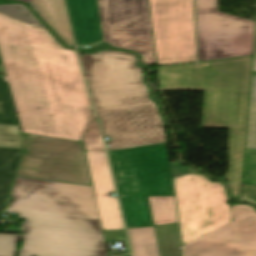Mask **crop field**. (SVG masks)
<instances>
[{"instance_id":"obj_1","label":"crop field","mask_w":256,"mask_h":256,"mask_svg":"<svg viewBox=\"0 0 256 256\" xmlns=\"http://www.w3.org/2000/svg\"><path fill=\"white\" fill-rule=\"evenodd\" d=\"M57 42L24 4L0 5V51L23 132L80 141L92 109L75 50Z\"/></svg>"},{"instance_id":"obj_2","label":"crop field","mask_w":256,"mask_h":256,"mask_svg":"<svg viewBox=\"0 0 256 256\" xmlns=\"http://www.w3.org/2000/svg\"><path fill=\"white\" fill-rule=\"evenodd\" d=\"M5 212L26 218L19 256H108L93 187L17 177Z\"/></svg>"},{"instance_id":"obj_3","label":"crop field","mask_w":256,"mask_h":256,"mask_svg":"<svg viewBox=\"0 0 256 256\" xmlns=\"http://www.w3.org/2000/svg\"><path fill=\"white\" fill-rule=\"evenodd\" d=\"M108 150L167 142L163 121L142 82L134 54L105 50L80 56Z\"/></svg>"},{"instance_id":"obj_4","label":"crop field","mask_w":256,"mask_h":256,"mask_svg":"<svg viewBox=\"0 0 256 256\" xmlns=\"http://www.w3.org/2000/svg\"><path fill=\"white\" fill-rule=\"evenodd\" d=\"M252 56L160 70L163 90H205L202 128H230L226 179L240 198Z\"/></svg>"},{"instance_id":"obj_5","label":"crop field","mask_w":256,"mask_h":256,"mask_svg":"<svg viewBox=\"0 0 256 256\" xmlns=\"http://www.w3.org/2000/svg\"><path fill=\"white\" fill-rule=\"evenodd\" d=\"M78 47L105 41L155 64L148 0H66Z\"/></svg>"},{"instance_id":"obj_6","label":"crop field","mask_w":256,"mask_h":256,"mask_svg":"<svg viewBox=\"0 0 256 256\" xmlns=\"http://www.w3.org/2000/svg\"><path fill=\"white\" fill-rule=\"evenodd\" d=\"M183 244L233 221L221 183L198 173L175 179Z\"/></svg>"},{"instance_id":"obj_7","label":"crop field","mask_w":256,"mask_h":256,"mask_svg":"<svg viewBox=\"0 0 256 256\" xmlns=\"http://www.w3.org/2000/svg\"><path fill=\"white\" fill-rule=\"evenodd\" d=\"M26 148L20 177L90 185L84 144L77 141L23 133Z\"/></svg>"},{"instance_id":"obj_8","label":"crop field","mask_w":256,"mask_h":256,"mask_svg":"<svg viewBox=\"0 0 256 256\" xmlns=\"http://www.w3.org/2000/svg\"><path fill=\"white\" fill-rule=\"evenodd\" d=\"M158 65L197 61L194 0H149Z\"/></svg>"},{"instance_id":"obj_9","label":"crop field","mask_w":256,"mask_h":256,"mask_svg":"<svg viewBox=\"0 0 256 256\" xmlns=\"http://www.w3.org/2000/svg\"><path fill=\"white\" fill-rule=\"evenodd\" d=\"M199 61L252 55L255 22L218 12L217 0H196Z\"/></svg>"},{"instance_id":"obj_10","label":"crop field","mask_w":256,"mask_h":256,"mask_svg":"<svg viewBox=\"0 0 256 256\" xmlns=\"http://www.w3.org/2000/svg\"><path fill=\"white\" fill-rule=\"evenodd\" d=\"M109 153L120 194L175 195L167 144Z\"/></svg>"},{"instance_id":"obj_11","label":"crop field","mask_w":256,"mask_h":256,"mask_svg":"<svg viewBox=\"0 0 256 256\" xmlns=\"http://www.w3.org/2000/svg\"><path fill=\"white\" fill-rule=\"evenodd\" d=\"M234 221L184 246L188 256H256V210L232 205Z\"/></svg>"},{"instance_id":"obj_12","label":"crop field","mask_w":256,"mask_h":256,"mask_svg":"<svg viewBox=\"0 0 256 256\" xmlns=\"http://www.w3.org/2000/svg\"><path fill=\"white\" fill-rule=\"evenodd\" d=\"M103 230L125 229L105 151L87 152Z\"/></svg>"},{"instance_id":"obj_13","label":"crop field","mask_w":256,"mask_h":256,"mask_svg":"<svg viewBox=\"0 0 256 256\" xmlns=\"http://www.w3.org/2000/svg\"><path fill=\"white\" fill-rule=\"evenodd\" d=\"M29 4L68 47H75L64 0H35Z\"/></svg>"},{"instance_id":"obj_14","label":"crop field","mask_w":256,"mask_h":256,"mask_svg":"<svg viewBox=\"0 0 256 256\" xmlns=\"http://www.w3.org/2000/svg\"><path fill=\"white\" fill-rule=\"evenodd\" d=\"M128 228L153 225L145 195H120Z\"/></svg>"},{"instance_id":"obj_15","label":"crop field","mask_w":256,"mask_h":256,"mask_svg":"<svg viewBox=\"0 0 256 256\" xmlns=\"http://www.w3.org/2000/svg\"><path fill=\"white\" fill-rule=\"evenodd\" d=\"M23 150L0 148V213L4 206Z\"/></svg>"},{"instance_id":"obj_16","label":"crop field","mask_w":256,"mask_h":256,"mask_svg":"<svg viewBox=\"0 0 256 256\" xmlns=\"http://www.w3.org/2000/svg\"><path fill=\"white\" fill-rule=\"evenodd\" d=\"M134 256H160L153 226L128 229Z\"/></svg>"},{"instance_id":"obj_17","label":"crop field","mask_w":256,"mask_h":256,"mask_svg":"<svg viewBox=\"0 0 256 256\" xmlns=\"http://www.w3.org/2000/svg\"><path fill=\"white\" fill-rule=\"evenodd\" d=\"M154 227L161 256H182L178 223Z\"/></svg>"},{"instance_id":"obj_18","label":"crop field","mask_w":256,"mask_h":256,"mask_svg":"<svg viewBox=\"0 0 256 256\" xmlns=\"http://www.w3.org/2000/svg\"><path fill=\"white\" fill-rule=\"evenodd\" d=\"M154 225L178 222L175 196H148Z\"/></svg>"},{"instance_id":"obj_19","label":"crop field","mask_w":256,"mask_h":256,"mask_svg":"<svg viewBox=\"0 0 256 256\" xmlns=\"http://www.w3.org/2000/svg\"><path fill=\"white\" fill-rule=\"evenodd\" d=\"M0 123L19 125L7 81L0 77Z\"/></svg>"},{"instance_id":"obj_20","label":"crop field","mask_w":256,"mask_h":256,"mask_svg":"<svg viewBox=\"0 0 256 256\" xmlns=\"http://www.w3.org/2000/svg\"><path fill=\"white\" fill-rule=\"evenodd\" d=\"M0 147L25 148L24 138L18 126L0 124Z\"/></svg>"},{"instance_id":"obj_21","label":"crop field","mask_w":256,"mask_h":256,"mask_svg":"<svg viewBox=\"0 0 256 256\" xmlns=\"http://www.w3.org/2000/svg\"><path fill=\"white\" fill-rule=\"evenodd\" d=\"M82 142L85 144L86 151L105 150L99 124L94 113L92 114L90 127L84 135Z\"/></svg>"},{"instance_id":"obj_22","label":"crop field","mask_w":256,"mask_h":256,"mask_svg":"<svg viewBox=\"0 0 256 256\" xmlns=\"http://www.w3.org/2000/svg\"><path fill=\"white\" fill-rule=\"evenodd\" d=\"M20 236L0 234V256H13Z\"/></svg>"},{"instance_id":"obj_23","label":"crop field","mask_w":256,"mask_h":256,"mask_svg":"<svg viewBox=\"0 0 256 256\" xmlns=\"http://www.w3.org/2000/svg\"><path fill=\"white\" fill-rule=\"evenodd\" d=\"M248 148H256V75H254L253 81Z\"/></svg>"},{"instance_id":"obj_24","label":"crop field","mask_w":256,"mask_h":256,"mask_svg":"<svg viewBox=\"0 0 256 256\" xmlns=\"http://www.w3.org/2000/svg\"><path fill=\"white\" fill-rule=\"evenodd\" d=\"M106 242L123 240L126 246V253H130L125 230L103 231Z\"/></svg>"},{"instance_id":"obj_25","label":"crop field","mask_w":256,"mask_h":256,"mask_svg":"<svg viewBox=\"0 0 256 256\" xmlns=\"http://www.w3.org/2000/svg\"><path fill=\"white\" fill-rule=\"evenodd\" d=\"M254 71H256V55H255V66H254Z\"/></svg>"},{"instance_id":"obj_26","label":"crop field","mask_w":256,"mask_h":256,"mask_svg":"<svg viewBox=\"0 0 256 256\" xmlns=\"http://www.w3.org/2000/svg\"><path fill=\"white\" fill-rule=\"evenodd\" d=\"M22 1H27V2H31V1H33V0H22Z\"/></svg>"},{"instance_id":"obj_27","label":"crop field","mask_w":256,"mask_h":256,"mask_svg":"<svg viewBox=\"0 0 256 256\" xmlns=\"http://www.w3.org/2000/svg\"><path fill=\"white\" fill-rule=\"evenodd\" d=\"M0 68H3V67H2V64H1V60H0Z\"/></svg>"},{"instance_id":"obj_28","label":"crop field","mask_w":256,"mask_h":256,"mask_svg":"<svg viewBox=\"0 0 256 256\" xmlns=\"http://www.w3.org/2000/svg\"><path fill=\"white\" fill-rule=\"evenodd\" d=\"M128 256H131V255H128Z\"/></svg>"}]
</instances>
